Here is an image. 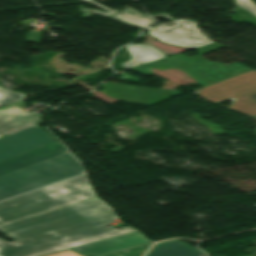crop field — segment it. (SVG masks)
<instances>
[{
    "mask_svg": "<svg viewBox=\"0 0 256 256\" xmlns=\"http://www.w3.org/2000/svg\"><path fill=\"white\" fill-rule=\"evenodd\" d=\"M151 244L152 243L134 247V248H130V249H126V250H122V251H118V252H114V253H110V254H106V255H102V256H141L143 254V252Z\"/></svg>",
    "mask_w": 256,
    "mask_h": 256,
    "instance_id": "5142ce71",
    "label": "crop field"
},
{
    "mask_svg": "<svg viewBox=\"0 0 256 256\" xmlns=\"http://www.w3.org/2000/svg\"><path fill=\"white\" fill-rule=\"evenodd\" d=\"M24 94L14 93L0 88V106H4L23 99Z\"/></svg>",
    "mask_w": 256,
    "mask_h": 256,
    "instance_id": "cbeb9de0",
    "label": "crop field"
},
{
    "mask_svg": "<svg viewBox=\"0 0 256 256\" xmlns=\"http://www.w3.org/2000/svg\"><path fill=\"white\" fill-rule=\"evenodd\" d=\"M238 7L247 10L256 16V5L251 0H235Z\"/></svg>",
    "mask_w": 256,
    "mask_h": 256,
    "instance_id": "d9b57169",
    "label": "crop field"
},
{
    "mask_svg": "<svg viewBox=\"0 0 256 256\" xmlns=\"http://www.w3.org/2000/svg\"><path fill=\"white\" fill-rule=\"evenodd\" d=\"M68 152L59 142L53 141L0 162V176Z\"/></svg>",
    "mask_w": 256,
    "mask_h": 256,
    "instance_id": "d8731c3e",
    "label": "crop field"
},
{
    "mask_svg": "<svg viewBox=\"0 0 256 256\" xmlns=\"http://www.w3.org/2000/svg\"><path fill=\"white\" fill-rule=\"evenodd\" d=\"M152 29H156V28H154V27H152V26H150V27H147V28H145V30H152Z\"/></svg>",
    "mask_w": 256,
    "mask_h": 256,
    "instance_id": "bc2a9ffb",
    "label": "crop field"
},
{
    "mask_svg": "<svg viewBox=\"0 0 256 256\" xmlns=\"http://www.w3.org/2000/svg\"><path fill=\"white\" fill-rule=\"evenodd\" d=\"M81 175L0 202V224L95 197Z\"/></svg>",
    "mask_w": 256,
    "mask_h": 256,
    "instance_id": "ac0d7876",
    "label": "crop field"
},
{
    "mask_svg": "<svg viewBox=\"0 0 256 256\" xmlns=\"http://www.w3.org/2000/svg\"><path fill=\"white\" fill-rule=\"evenodd\" d=\"M201 253L198 248L174 239L155 244L146 256H199Z\"/></svg>",
    "mask_w": 256,
    "mask_h": 256,
    "instance_id": "d1516ede",
    "label": "crop field"
},
{
    "mask_svg": "<svg viewBox=\"0 0 256 256\" xmlns=\"http://www.w3.org/2000/svg\"><path fill=\"white\" fill-rule=\"evenodd\" d=\"M220 46L222 45H219L217 43L208 44L205 46L194 48L195 50L199 51V56L185 57L183 55L177 54L171 57H164L161 59L150 61L143 65L130 68L129 70L141 72L146 75L152 76L153 74L148 69L157 68L163 70L165 68H177L185 71L189 76L193 77L197 82L204 86L212 82L221 80L232 74L238 73L240 71L250 69L240 63L224 65L220 62L208 61L200 57L201 54L218 48ZM162 61H165L167 63L164 64L162 63ZM227 72H229V74H227Z\"/></svg>",
    "mask_w": 256,
    "mask_h": 256,
    "instance_id": "412701ff",
    "label": "crop field"
},
{
    "mask_svg": "<svg viewBox=\"0 0 256 256\" xmlns=\"http://www.w3.org/2000/svg\"><path fill=\"white\" fill-rule=\"evenodd\" d=\"M102 86L106 87L102 91L114 99L146 105L155 104L181 93L176 90L133 87L111 82Z\"/></svg>",
    "mask_w": 256,
    "mask_h": 256,
    "instance_id": "dd49c442",
    "label": "crop field"
},
{
    "mask_svg": "<svg viewBox=\"0 0 256 256\" xmlns=\"http://www.w3.org/2000/svg\"><path fill=\"white\" fill-rule=\"evenodd\" d=\"M153 15H155V16L161 15V16L164 17V18L172 19V17H170V16H169L167 13H165V12H163V13H161V14H153Z\"/></svg>",
    "mask_w": 256,
    "mask_h": 256,
    "instance_id": "4a817a6b",
    "label": "crop field"
},
{
    "mask_svg": "<svg viewBox=\"0 0 256 256\" xmlns=\"http://www.w3.org/2000/svg\"><path fill=\"white\" fill-rule=\"evenodd\" d=\"M68 154L0 177V200L82 173Z\"/></svg>",
    "mask_w": 256,
    "mask_h": 256,
    "instance_id": "34b2d1b8",
    "label": "crop field"
},
{
    "mask_svg": "<svg viewBox=\"0 0 256 256\" xmlns=\"http://www.w3.org/2000/svg\"><path fill=\"white\" fill-rule=\"evenodd\" d=\"M172 21L176 24L172 26L161 24L156 27L158 29L148 33L157 37L161 42L185 48H194L213 42L196 28L195 23L184 19Z\"/></svg>",
    "mask_w": 256,
    "mask_h": 256,
    "instance_id": "f4fd0767",
    "label": "crop field"
},
{
    "mask_svg": "<svg viewBox=\"0 0 256 256\" xmlns=\"http://www.w3.org/2000/svg\"><path fill=\"white\" fill-rule=\"evenodd\" d=\"M39 116L15 106L0 110V135L10 134L28 126L36 125Z\"/></svg>",
    "mask_w": 256,
    "mask_h": 256,
    "instance_id": "3316defc",
    "label": "crop field"
},
{
    "mask_svg": "<svg viewBox=\"0 0 256 256\" xmlns=\"http://www.w3.org/2000/svg\"><path fill=\"white\" fill-rule=\"evenodd\" d=\"M85 1H89V2H92L96 5H98L99 7L109 11L108 13H105V12H101V11H97V10H94V9H90V8H86V7H83V6H78L79 10H80V13H81V16L82 17H90L93 13H96V14H99V15H103L105 17H107L108 15L116 12V10H112L108 7H105L101 4H98L92 0H85ZM90 11H93L91 14L89 13ZM124 12L121 13V12H118L117 14L109 17L113 20H119L121 21L122 23L126 24V25H130V26H134V27H138V28H141L147 24H150L153 21V19L150 17V16H145L144 14L138 12V11H135L131 8H126L123 10ZM82 12H84V14H82ZM128 12H131V13H134V15H131L129 14Z\"/></svg>",
    "mask_w": 256,
    "mask_h": 256,
    "instance_id": "28ad6ade",
    "label": "crop field"
},
{
    "mask_svg": "<svg viewBox=\"0 0 256 256\" xmlns=\"http://www.w3.org/2000/svg\"><path fill=\"white\" fill-rule=\"evenodd\" d=\"M45 256H83V255L77 254L73 250L69 249V250H65V251H61V252H57V253H53Z\"/></svg>",
    "mask_w": 256,
    "mask_h": 256,
    "instance_id": "733c2abd",
    "label": "crop field"
},
{
    "mask_svg": "<svg viewBox=\"0 0 256 256\" xmlns=\"http://www.w3.org/2000/svg\"><path fill=\"white\" fill-rule=\"evenodd\" d=\"M126 47L132 58L131 60L123 63L125 68L137 66L147 61L165 56L159 50L148 44L128 45Z\"/></svg>",
    "mask_w": 256,
    "mask_h": 256,
    "instance_id": "22f410ed",
    "label": "crop field"
},
{
    "mask_svg": "<svg viewBox=\"0 0 256 256\" xmlns=\"http://www.w3.org/2000/svg\"><path fill=\"white\" fill-rule=\"evenodd\" d=\"M150 242L151 241L145 239L136 231L128 234L115 236L102 241L78 246L73 249L85 255L98 256Z\"/></svg>",
    "mask_w": 256,
    "mask_h": 256,
    "instance_id": "5a996713",
    "label": "crop field"
},
{
    "mask_svg": "<svg viewBox=\"0 0 256 256\" xmlns=\"http://www.w3.org/2000/svg\"><path fill=\"white\" fill-rule=\"evenodd\" d=\"M53 141V138L38 127H29L0 139V160Z\"/></svg>",
    "mask_w": 256,
    "mask_h": 256,
    "instance_id": "e52e79f7",
    "label": "crop field"
},
{
    "mask_svg": "<svg viewBox=\"0 0 256 256\" xmlns=\"http://www.w3.org/2000/svg\"><path fill=\"white\" fill-rule=\"evenodd\" d=\"M116 218L111 208L95 197L5 223L0 231L14 242L0 239V256H37L135 231L130 226L107 228ZM16 242L19 244L13 245Z\"/></svg>",
    "mask_w": 256,
    "mask_h": 256,
    "instance_id": "8a807250",
    "label": "crop field"
}]
</instances>
